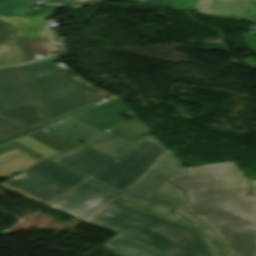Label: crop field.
Listing matches in <instances>:
<instances>
[{"label":"crop field","mask_w":256,"mask_h":256,"mask_svg":"<svg viewBox=\"0 0 256 256\" xmlns=\"http://www.w3.org/2000/svg\"><path fill=\"white\" fill-rule=\"evenodd\" d=\"M186 169L167 179L185 190L184 209L215 230L232 256H254L256 198L246 197L243 173L233 162Z\"/></svg>","instance_id":"crop-field-1"},{"label":"crop field","mask_w":256,"mask_h":256,"mask_svg":"<svg viewBox=\"0 0 256 256\" xmlns=\"http://www.w3.org/2000/svg\"><path fill=\"white\" fill-rule=\"evenodd\" d=\"M17 43L12 28L0 22V44Z\"/></svg>","instance_id":"crop-field-17"},{"label":"crop field","mask_w":256,"mask_h":256,"mask_svg":"<svg viewBox=\"0 0 256 256\" xmlns=\"http://www.w3.org/2000/svg\"><path fill=\"white\" fill-rule=\"evenodd\" d=\"M84 0H47L46 3L66 4L67 2L77 3Z\"/></svg>","instance_id":"crop-field-24"},{"label":"crop field","mask_w":256,"mask_h":256,"mask_svg":"<svg viewBox=\"0 0 256 256\" xmlns=\"http://www.w3.org/2000/svg\"><path fill=\"white\" fill-rule=\"evenodd\" d=\"M116 194L88 180L50 207L82 220Z\"/></svg>","instance_id":"crop-field-8"},{"label":"crop field","mask_w":256,"mask_h":256,"mask_svg":"<svg viewBox=\"0 0 256 256\" xmlns=\"http://www.w3.org/2000/svg\"><path fill=\"white\" fill-rule=\"evenodd\" d=\"M24 54L27 61L34 60L35 54L48 55L47 51H50V45L48 42H33V43H21Z\"/></svg>","instance_id":"crop-field-15"},{"label":"crop field","mask_w":256,"mask_h":256,"mask_svg":"<svg viewBox=\"0 0 256 256\" xmlns=\"http://www.w3.org/2000/svg\"><path fill=\"white\" fill-rule=\"evenodd\" d=\"M175 157L170 150H165L134 184L121 193L125 204L196 229L214 256H231L215 231L183 209L187 202L183 190L164 180L186 172Z\"/></svg>","instance_id":"crop-field-3"},{"label":"crop field","mask_w":256,"mask_h":256,"mask_svg":"<svg viewBox=\"0 0 256 256\" xmlns=\"http://www.w3.org/2000/svg\"><path fill=\"white\" fill-rule=\"evenodd\" d=\"M245 65H247L249 68L251 69H256V62H252V63H245Z\"/></svg>","instance_id":"crop-field-27"},{"label":"crop field","mask_w":256,"mask_h":256,"mask_svg":"<svg viewBox=\"0 0 256 256\" xmlns=\"http://www.w3.org/2000/svg\"><path fill=\"white\" fill-rule=\"evenodd\" d=\"M45 126H46V124H45V122H44V123H42V124H40V125H38V126H36V127H33V128H31V129H29V130H25V131H23V132L17 133V134H15V135L10 136V137L4 138V139H2V140L0 141V145L3 144V143L8 142V141H10V140H13V139H15V138H18V137H20V136H23V135H25V134H28V133H30V132H33V131H35V130H38V129H40V128H43V127H45Z\"/></svg>","instance_id":"crop-field-19"},{"label":"crop field","mask_w":256,"mask_h":256,"mask_svg":"<svg viewBox=\"0 0 256 256\" xmlns=\"http://www.w3.org/2000/svg\"><path fill=\"white\" fill-rule=\"evenodd\" d=\"M150 132L148 127L138 117H135L108 132L84 142L82 145L117 157Z\"/></svg>","instance_id":"crop-field-9"},{"label":"crop field","mask_w":256,"mask_h":256,"mask_svg":"<svg viewBox=\"0 0 256 256\" xmlns=\"http://www.w3.org/2000/svg\"><path fill=\"white\" fill-rule=\"evenodd\" d=\"M0 117L26 129L45 121L38 102L1 111Z\"/></svg>","instance_id":"crop-field-12"},{"label":"crop field","mask_w":256,"mask_h":256,"mask_svg":"<svg viewBox=\"0 0 256 256\" xmlns=\"http://www.w3.org/2000/svg\"><path fill=\"white\" fill-rule=\"evenodd\" d=\"M200 14L256 22L255 0H202Z\"/></svg>","instance_id":"crop-field-11"},{"label":"crop field","mask_w":256,"mask_h":256,"mask_svg":"<svg viewBox=\"0 0 256 256\" xmlns=\"http://www.w3.org/2000/svg\"><path fill=\"white\" fill-rule=\"evenodd\" d=\"M104 1H129V2H139L140 0H104Z\"/></svg>","instance_id":"crop-field-28"},{"label":"crop field","mask_w":256,"mask_h":256,"mask_svg":"<svg viewBox=\"0 0 256 256\" xmlns=\"http://www.w3.org/2000/svg\"><path fill=\"white\" fill-rule=\"evenodd\" d=\"M47 120L76 109L110 93L85 86L55 62L45 58L28 64Z\"/></svg>","instance_id":"crop-field-5"},{"label":"crop field","mask_w":256,"mask_h":256,"mask_svg":"<svg viewBox=\"0 0 256 256\" xmlns=\"http://www.w3.org/2000/svg\"><path fill=\"white\" fill-rule=\"evenodd\" d=\"M34 0H0V14L25 15Z\"/></svg>","instance_id":"crop-field-13"},{"label":"crop field","mask_w":256,"mask_h":256,"mask_svg":"<svg viewBox=\"0 0 256 256\" xmlns=\"http://www.w3.org/2000/svg\"><path fill=\"white\" fill-rule=\"evenodd\" d=\"M165 149L159 140L145 137L117 158L79 145L52 161L120 192Z\"/></svg>","instance_id":"crop-field-4"},{"label":"crop field","mask_w":256,"mask_h":256,"mask_svg":"<svg viewBox=\"0 0 256 256\" xmlns=\"http://www.w3.org/2000/svg\"><path fill=\"white\" fill-rule=\"evenodd\" d=\"M20 42L45 41V38H18Z\"/></svg>","instance_id":"crop-field-25"},{"label":"crop field","mask_w":256,"mask_h":256,"mask_svg":"<svg viewBox=\"0 0 256 256\" xmlns=\"http://www.w3.org/2000/svg\"><path fill=\"white\" fill-rule=\"evenodd\" d=\"M84 179L73 172L45 161L0 186L47 205Z\"/></svg>","instance_id":"crop-field-6"},{"label":"crop field","mask_w":256,"mask_h":256,"mask_svg":"<svg viewBox=\"0 0 256 256\" xmlns=\"http://www.w3.org/2000/svg\"><path fill=\"white\" fill-rule=\"evenodd\" d=\"M252 195H256V180H250Z\"/></svg>","instance_id":"crop-field-26"},{"label":"crop field","mask_w":256,"mask_h":256,"mask_svg":"<svg viewBox=\"0 0 256 256\" xmlns=\"http://www.w3.org/2000/svg\"><path fill=\"white\" fill-rule=\"evenodd\" d=\"M36 99L26 65L0 69V110Z\"/></svg>","instance_id":"crop-field-10"},{"label":"crop field","mask_w":256,"mask_h":256,"mask_svg":"<svg viewBox=\"0 0 256 256\" xmlns=\"http://www.w3.org/2000/svg\"><path fill=\"white\" fill-rule=\"evenodd\" d=\"M252 51L256 52V34L242 36Z\"/></svg>","instance_id":"crop-field-21"},{"label":"crop field","mask_w":256,"mask_h":256,"mask_svg":"<svg viewBox=\"0 0 256 256\" xmlns=\"http://www.w3.org/2000/svg\"><path fill=\"white\" fill-rule=\"evenodd\" d=\"M57 6H60V5H44V7L41 9L40 12H37V11H29L25 16H37L51 8H54V7H57Z\"/></svg>","instance_id":"crop-field-23"},{"label":"crop field","mask_w":256,"mask_h":256,"mask_svg":"<svg viewBox=\"0 0 256 256\" xmlns=\"http://www.w3.org/2000/svg\"><path fill=\"white\" fill-rule=\"evenodd\" d=\"M119 114L135 116L120 100L115 99L54 124L51 128L53 134L77 144L123 123Z\"/></svg>","instance_id":"crop-field-7"},{"label":"crop field","mask_w":256,"mask_h":256,"mask_svg":"<svg viewBox=\"0 0 256 256\" xmlns=\"http://www.w3.org/2000/svg\"><path fill=\"white\" fill-rule=\"evenodd\" d=\"M198 0H171V8L180 10H193Z\"/></svg>","instance_id":"crop-field-18"},{"label":"crop field","mask_w":256,"mask_h":256,"mask_svg":"<svg viewBox=\"0 0 256 256\" xmlns=\"http://www.w3.org/2000/svg\"><path fill=\"white\" fill-rule=\"evenodd\" d=\"M25 129L0 118V139Z\"/></svg>","instance_id":"crop-field-16"},{"label":"crop field","mask_w":256,"mask_h":256,"mask_svg":"<svg viewBox=\"0 0 256 256\" xmlns=\"http://www.w3.org/2000/svg\"><path fill=\"white\" fill-rule=\"evenodd\" d=\"M84 222L118 234L103 245L120 256H210L193 230L127 209L118 198Z\"/></svg>","instance_id":"crop-field-2"},{"label":"crop field","mask_w":256,"mask_h":256,"mask_svg":"<svg viewBox=\"0 0 256 256\" xmlns=\"http://www.w3.org/2000/svg\"><path fill=\"white\" fill-rule=\"evenodd\" d=\"M254 27H256V25H254Z\"/></svg>","instance_id":"crop-field-29"},{"label":"crop field","mask_w":256,"mask_h":256,"mask_svg":"<svg viewBox=\"0 0 256 256\" xmlns=\"http://www.w3.org/2000/svg\"><path fill=\"white\" fill-rule=\"evenodd\" d=\"M170 0H144L143 3L168 8Z\"/></svg>","instance_id":"crop-field-22"},{"label":"crop field","mask_w":256,"mask_h":256,"mask_svg":"<svg viewBox=\"0 0 256 256\" xmlns=\"http://www.w3.org/2000/svg\"><path fill=\"white\" fill-rule=\"evenodd\" d=\"M92 106H94V105H93L92 103H90V104L85 105V106H83V107H80V108H78V109H76V110H73V111L68 112V113H66V114H63V115H61V116H58V117H56V118H54V119L49 120V124L51 125V124H53V123H55V122H57V121H59V120H62V119H64V118H66V117H68V116H71V115H73V114H75V113H77V112H80V111H82V110L88 109V108H90V107H92Z\"/></svg>","instance_id":"crop-field-20"},{"label":"crop field","mask_w":256,"mask_h":256,"mask_svg":"<svg viewBox=\"0 0 256 256\" xmlns=\"http://www.w3.org/2000/svg\"><path fill=\"white\" fill-rule=\"evenodd\" d=\"M22 55L17 44L0 45V66L22 63Z\"/></svg>","instance_id":"crop-field-14"}]
</instances>
